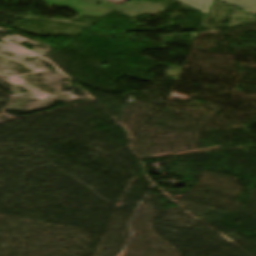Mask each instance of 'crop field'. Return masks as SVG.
Segmentation results:
<instances>
[{"mask_svg": "<svg viewBox=\"0 0 256 256\" xmlns=\"http://www.w3.org/2000/svg\"><path fill=\"white\" fill-rule=\"evenodd\" d=\"M253 15L256 14V0H222Z\"/></svg>", "mask_w": 256, "mask_h": 256, "instance_id": "crop-field-1", "label": "crop field"}, {"mask_svg": "<svg viewBox=\"0 0 256 256\" xmlns=\"http://www.w3.org/2000/svg\"><path fill=\"white\" fill-rule=\"evenodd\" d=\"M201 12L206 13L212 0H179Z\"/></svg>", "mask_w": 256, "mask_h": 256, "instance_id": "crop-field-2", "label": "crop field"}, {"mask_svg": "<svg viewBox=\"0 0 256 256\" xmlns=\"http://www.w3.org/2000/svg\"><path fill=\"white\" fill-rule=\"evenodd\" d=\"M109 1H111V2H114V3L118 4V3H120V2H122V1H124V0H109Z\"/></svg>", "mask_w": 256, "mask_h": 256, "instance_id": "crop-field-3", "label": "crop field"}]
</instances>
